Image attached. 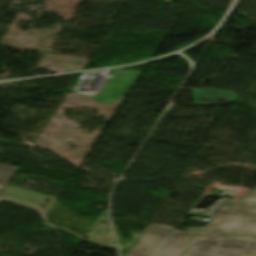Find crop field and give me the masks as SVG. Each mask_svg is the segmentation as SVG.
I'll use <instances>...</instances> for the list:
<instances>
[{
  "label": "crop field",
  "mask_w": 256,
  "mask_h": 256,
  "mask_svg": "<svg viewBox=\"0 0 256 256\" xmlns=\"http://www.w3.org/2000/svg\"><path fill=\"white\" fill-rule=\"evenodd\" d=\"M173 230L147 226L126 256H155Z\"/></svg>",
  "instance_id": "34b2d1b8"
},
{
  "label": "crop field",
  "mask_w": 256,
  "mask_h": 256,
  "mask_svg": "<svg viewBox=\"0 0 256 256\" xmlns=\"http://www.w3.org/2000/svg\"><path fill=\"white\" fill-rule=\"evenodd\" d=\"M116 71L117 70L111 71L115 72V74L112 78L106 81L103 89L101 88L102 90L100 93L97 96L92 97L93 99L102 102H114L117 97L126 95L140 75L138 72L127 71V73H116Z\"/></svg>",
  "instance_id": "412701ff"
},
{
  "label": "crop field",
  "mask_w": 256,
  "mask_h": 256,
  "mask_svg": "<svg viewBox=\"0 0 256 256\" xmlns=\"http://www.w3.org/2000/svg\"><path fill=\"white\" fill-rule=\"evenodd\" d=\"M15 169V166L0 164V192Z\"/></svg>",
  "instance_id": "dd49c442"
},
{
  "label": "crop field",
  "mask_w": 256,
  "mask_h": 256,
  "mask_svg": "<svg viewBox=\"0 0 256 256\" xmlns=\"http://www.w3.org/2000/svg\"><path fill=\"white\" fill-rule=\"evenodd\" d=\"M237 98L238 95L213 88L193 89V105L227 104Z\"/></svg>",
  "instance_id": "f4fd0767"
},
{
  "label": "crop field",
  "mask_w": 256,
  "mask_h": 256,
  "mask_svg": "<svg viewBox=\"0 0 256 256\" xmlns=\"http://www.w3.org/2000/svg\"><path fill=\"white\" fill-rule=\"evenodd\" d=\"M219 252L223 254H218ZM183 256H256V240L226 236H195L192 237Z\"/></svg>",
  "instance_id": "ac0d7876"
},
{
  "label": "crop field",
  "mask_w": 256,
  "mask_h": 256,
  "mask_svg": "<svg viewBox=\"0 0 256 256\" xmlns=\"http://www.w3.org/2000/svg\"><path fill=\"white\" fill-rule=\"evenodd\" d=\"M191 215L211 218L206 228L176 231L158 256H181L191 235L256 237V188L239 202L222 200L206 212L192 211Z\"/></svg>",
  "instance_id": "8a807250"
}]
</instances>
